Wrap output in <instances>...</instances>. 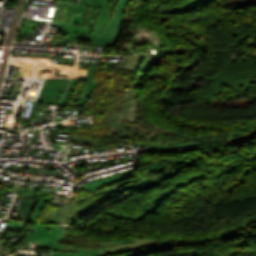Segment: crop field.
Returning a JSON list of instances; mask_svg holds the SVG:
<instances>
[{"instance_id":"4","label":"crop field","mask_w":256,"mask_h":256,"mask_svg":"<svg viewBox=\"0 0 256 256\" xmlns=\"http://www.w3.org/2000/svg\"><path fill=\"white\" fill-rule=\"evenodd\" d=\"M137 119L136 124L141 126L142 128H149L150 130L154 131L151 133V136H145L146 132L138 131L136 130L132 125L129 124V122L121 121L120 123H111V122H105V125H108L114 129H120L122 132L118 133L117 137L125 139V136H130L132 134L140 135L139 138L141 139H147L150 140L152 139L158 132H168L170 130L162 129L153 123L149 122L146 118L144 117H134ZM171 132V131H170Z\"/></svg>"},{"instance_id":"9","label":"crop field","mask_w":256,"mask_h":256,"mask_svg":"<svg viewBox=\"0 0 256 256\" xmlns=\"http://www.w3.org/2000/svg\"><path fill=\"white\" fill-rule=\"evenodd\" d=\"M132 174H134V173L131 171V172H126V173H123V174H119V175L110 177V178H108V179L97 180V181H94V182H91V183L86 184L85 186L82 187V189L88 190L89 188L96 187V186H98V185H100V184H103V183H106V182H108V181L120 179V178H123V177H125V176L132 175Z\"/></svg>"},{"instance_id":"13","label":"crop field","mask_w":256,"mask_h":256,"mask_svg":"<svg viewBox=\"0 0 256 256\" xmlns=\"http://www.w3.org/2000/svg\"><path fill=\"white\" fill-rule=\"evenodd\" d=\"M77 80H71L59 105L64 106Z\"/></svg>"},{"instance_id":"11","label":"crop field","mask_w":256,"mask_h":256,"mask_svg":"<svg viewBox=\"0 0 256 256\" xmlns=\"http://www.w3.org/2000/svg\"><path fill=\"white\" fill-rule=\"evenodd\" d=\"M145 64H147V65L145 66ZM151 64L152 63H150V62H145L144 63L143 68H142L141 72L139 71L140 73L137 76V78H136V80H135L133 85L138 86V85L141 84V82H142V80H143V78H144L148 68L151 66Z\"/></svg>"},{"instance_id":"7","label":"crop field","mask_w":256,"mask_h":256,"mask_svg":"<svg viewBox=\"0 0 256 256\" xmlns=\"http://www.w3.org/2000/svg\"><path fill=\"white\" fill-rule=\"evenodd\" d=\"M134 241H135V243H131V244L112 245V246L101 247V254H99L97 256H107V255L114 254L117 252L131 251L134 249L154 245L157 243L156 241H151V240H134Z\"/></svg>"},{"instance_id":"15","label":"crop field","mask_w":256,"mask_h":256,"mask_svg":"<svg viewBox=\"0 0 256 256\" xmlns=\"http://www.w3.org/2000/svg\"><path fill=\"white\" fill-rule=\"evenodd\" d=\"M11 56H23V57H46L48 58L49 56H40V55H22V54H12Z\"/></svg>"},{"instance_id":"2","label":"crop field","mask_w":256,"mask_h":256,"mask_svg":"<svg viewBox=\"0 0 256 256\" xmlns=\"http://www.w3.org/2000/svg\"><path fill=\"white\" fill-rule=\"evenodd\" d=\"M47 228L48 227L43 224H35L34 228L31 229L26 241L37 243L36 249L58 250L53 256H95L100 253L99 244H95L87 238H85V241L83 242L85 245L97 246L99 249L85 251L78 249L75 251L66 248L65 245H59L56 240L65 239L66 235L68 234L67 229L53 227V231L51 233H46ZM62 230H65V232H62ZM69 235L73 234L71 233Z\"/></svg>"},{"instance_id":"3","label":"crop field","mask_w":256,"mask_h":256,"mask_svg":"<svg viewBox=\"0 0 256 256\" xmlns=\"http://www.w3.org/2000/svg\"><path fill=\"white\" fill-rule=\"evenodd\" d=\"M79 56H75V60L73 65H65L61 64L60 71L58 77H67V78H78V79H86L88 80L87 86L85 91L81 97L80 104L85 106L87 100L89 99L90 95L92 94L94 88L97 85V82L92 81L96 65L89 66L88 69L76 68Z\"/></svg>"},{"instance_id":"10","label":"crop field","mask_w":256,"mask_h":256,"mask_svg":"<svg viewBox=\"0 0 256 256\" xmlns=\"http://www.w3.org/2000/svg\"><path fill=\"white\" fill-rule=\"evenodd\" d=\"M143 177H145V176L142 175V176H140V177L131 179V180L126 181V182H124V183L118 184V185H116L115 187L112 186V187H110V188H107V189H104V190H101V191H97V192H95V193H97V194H102V193L119 192V190H118L117 188H119V187H121V186H123V185H125V184H127V183H129V182H132V181H134V180H137V179H139V178H143Z\"/></svg>"},{"instance_id":"14","label":"crop field","mask_w":256,"mask_h":256,"mask_svg":"<svg viewBox=\"0 0 256 256\" xmlns=\"http://www.w3.org/2000/svg\"><path fill=\"white\" fill-rule=\"evenodd\" d=\"M136 110H137V106H136L134 109H132L131 111H128V112L123 113L122 116H121V118H122V117H126V116H128V117L138 116V113L136 112ZM121 118H120V119H121Z\"/></svg>"},{"instance_id":"16","label":"crop field","mask_w":256,"mask_h":256,"mask_svg":"<svg viewBox=\"0 0 256 256\" xmlns=\"http://www.w3.org/2000/svg\"><path fill=\"white\" fill-rule=\"evenodd\" d=\"M93 11H94V8H92V10H91V13H90V16H89V20H88V23H87V26H86V27H88V25H89V21H90V18H91V16H92Z\"/></svg>"},{"instance_id":"1","label":"crop field","mask_w":256,"mask_h":256,"mask_svg":"<svg viewBox=\"0 0 256 256\" xmlns=\"http://www.w3.org/2000/svg\"><path fill=\"white\" fill-rule=\"evenodd\" d=\"M109 0H92L91 6L101 7L92 38L70 35L69 38L91 41L90 44L115 47L124 20H121L128 0H114L118 4L115 13H110L111 7L106 9Z\"/></svg>"},{"instance_id":"8","label":"crop field","mask_w":256,"mask_h":256,"mask_svg":"<svg viewBox=\"0 0 256 256\" xmlns=\"http://www.w3.org/2000/svg\"><path fill=\"white\" fill-rule=\"evenodd\" d=\"M132 92H135V91L130 88L127 90V93L123 95L120 105L114 107L112 115L111 117H109V120H115V121L119 120L120 115L123 112L128 111L137 105L138 100L131 98ZM115 112H118V114H115Z\"/></svg>"},{"instance_id":"5","label":"crop field","mask_w":256,"mask_h":256,"mask_svg":"<svg viewBox=\"0 0 256 256\" xmlns=\"http://www.w3.org/2000/svg\"><path fill=\"white\" fill-rule=\"evenodd\" d=\"M179 170H180V168L177 166L176 163L158 167V168H154V169H150V170H146V171H144V175H146L147 177H145L143 179H139L132 183H129V184L125 185L124 187L130 188V189H133L136 191H140L142 189L147 188V186H145V187L143 186L145 184L148 186H153V185L160 183L162 181V179L159 176L165 174L168 177H170V176L174 175L176 172H178Z\"/></svg>"},{"instance_id":"12","label":"crop field","mask_w":256,"mask_h":256,"mask_svg":"<svg viewBox=\"0 0 256 256\" xmlns=\"http://www.w3.org/2000/svg\"><path fill=\"white\" fill-rule=\"evenodd\" d=\"M185 148H190L189 145H186L185 147H180V146H169V147H164L156 144H151V150H180V149H185Z\"/></svg>"},{"instance_id":"6","label":"crop field","mask_w":256,"mask_h":256,"mask_svg":"<svg viewBox=\"0 0 256 256\" xmlns=\"http://www.w3.org/2000/svg\"><path fill=\"white\" fill-rule=\"evenodd\" d=\"M68 82L69 79H46L37 101L56 105Z\"/></svg>"}]
</instances>
